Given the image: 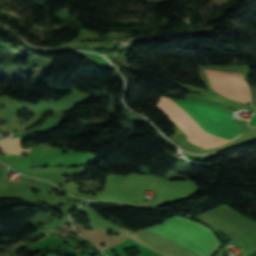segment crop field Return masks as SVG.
<instances>
[{"label": "crop field", "instance_id": "5", "mask_svg": "<svg viewBox=\"0 0 256 256\" xmlns=\"http://www.w3.org/2000/svg\"><path fill=\"white\" fill-rule=\"evenodd\" d=\"M0 149L10 152V153H16V154H22L24 152L29 153L30 149L23 150L21 148L20 139H10V140H3L0 141Z\"/></svg>", "mask_w": 256, "mask_h": 256}, {"label": "crop field", "instance_id": "1", "mask_svg": "<svg viewBox=\"0 0 256 256\" xmlns=\"http://www.w3.org/2000/svg\"><path fill=\"white\" fill-rule=\"evenodd\" d=\"M165 99L207 136L230 142L242 134V127L232 125L234 121L232 112L186 100Z\"/></svg>", "mask_w": 256, "mask_h": 256}, {"label": "crop field", "instance_id": "2", "mask_svg": "<svg viewBox=\"0 0 256 256\" xmlns=\"http://www.w3.org/2000/svg\"><path fill=\"white\" fill-rule=\"evenodd\" d=\"M147 229L200 256H211L221 246L209 229L176 216Z\"/></svg>", "mask_w": 256, "mask_h": 256}, {"label": "crop field", "instance_id": "4", "mask_svg": "<svg viewBox=\"0 0 256 256\" xmlns=\"http://www.w3.org/2000/svg\"><path fill=\"white\" fill-rule=\"evenodd\" d=\"M121 234L163 256H198L146 229L132 233L123 228Z\"/></svg>", "mask_w": 256, "mask_h": 256}, {"label": "crop field", "instance_id": "3", "mask_svg": "<svg viewBox=\"0 0 256 256\" xmlns=\"http://www.w3.org/2000/svg\"><path fill=\"white\" fill-rule=\"evenodd\" d=\"M205 70L215 91L250 105V93L243 81V74Z\"/></svg>", "mask_w": 256, "mask_h": 256}, {"label": "crop field", "instance_id": "6", "mask_svg": "<svg viewBox=\"0 0 256 256\" xmlns=\"http://www.w3.org/2000/svg\"><path fill=\"white\" fill-rule=\"evenodd\" d=\"M256 123V113L255 115L253 116V118L251 119L250 123L249 124H254Z\"/></svg>", "mask_w": 256, "mask_h": 256}]
</instances>
